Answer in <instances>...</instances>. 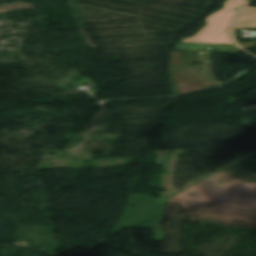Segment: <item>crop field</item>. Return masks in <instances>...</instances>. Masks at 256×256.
<instances>
[{
  "instance_id": "3",
  "label": "crop field",
  "mask_w": 256,
  "mask_h": 256,
  "mask_svg": "<svg viewBox=\"0 0 256 256\" xmlns=\"http://www.w3.org/2000/svg\"><path fill=\"white\" fill-rule=\"evenodd\" d=\"M242 126L249 129H256V105L243 108Z\"/></svg>"
},
{
  "instance_id": "1",
  "label": "crop field",
  "mask_w": 256,
  "mask_h": 256,
  "mask_svg": "<svg viewBox=\"0 0 256 256\" xmlns=\"http://www.w3.org/2000/svg\"><path fill=\"white\" fill-rule=\"evenodd\" d=\"M248 0H226L224 8L206 17V25L193 37L182 39L175 44L174 50L206 51V47L214 48V51L234 52L240 50L234 46L229 29L237 12L242 9ZM183 42L199 44H183ZM231 44V45H218Z\"/></svg>"
},
{
  "instance_id": "2",
  "label": "crop field",
  "mask_w": 256,
  "mask_h": 256,
  "mask_svg": "<svg viewBox=\"0 0 256 256\" xmlns=\"http://www.w3.org/2000/svg\"><path fill=\"white\" fill-rule=\"evenodd\" d=\"M235 29H256V8L247 7L238 17ZM243 49L256 46V41L240 44Z\"/></svg>"
}]
</instances>
